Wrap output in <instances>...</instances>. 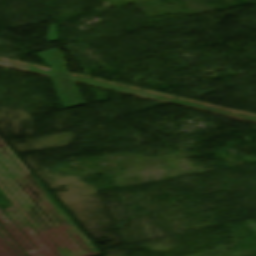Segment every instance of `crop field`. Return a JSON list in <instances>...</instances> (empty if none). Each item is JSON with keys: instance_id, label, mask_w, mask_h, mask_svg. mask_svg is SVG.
Instances as JSON below:
<instances>
[{"instance_id": "ac0d7876", "label": "crop field", "mask_w": 256, "mask_h": 256, "mask_svg": "<svg viewBox=\"0 0 256 256\" xmlns=\"http://www.w3.org/2000/svg\"><path fill=\"white\" fill-rule=\"evenodd\" d=\"M50 28L51 32L48 34L49 42L57 39L55 25H50Z\"/></svg>"}, {"instance_id": "8a807250", "label": "crop field", "mask_w": 256, "mask_h": 256, "mask_svg": "<svg viewBox=\"0 0 256 256\" xmlns=\"http://www.w3.org/2000/svg\"><path fill=\"white\" fill-rule=\"evenodd\" d=\"M52 69L54 74L67 72L65 69L66 62L64 56L57 50H49L41 54H37Z\"/></svg>"}]
</instances>
